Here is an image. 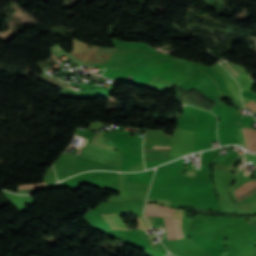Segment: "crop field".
<instances>
[{
  "mask_svg": "<svg viewBox=\"0 0 256 256\" xmlns=\"http://www.w3.org/2000/svg\"><path fill=\"white\" fill-rule=\"evenodd\" d=\"M111 229H125L128 230L123 221L118 217L117 214L101 215Z\"/></svg>",
  "mask_w": 256,
  "mask_h": 256,
  "instance_id": "f4fd0767",
  "label": "crop field"
},
{
  "mask_svg": "<svg viewBox=\"0 0 256 256\" xmlns=\"http://www.w3.org/2000/svg\"><path fill=\"white\" fill-rule=\"evenodd\" d=\"M146 210V207H145ZM145 215V211H144ZM146 216H160L182 219V210L160 207L154 204H147Z\"/></svg>",
  "mask_w": 256,
  "mask_h": 256,
  "instance_id": "8a807250",
  "label": "crop field"
},
{
  "mask_svg": "<svg viewBox=\"0 0 256 256\" xmlns=\"http://www.w3.org/2000/svg\"><path fill=\"white\" fill-rule=\"evenodd\" d=\"M245 106H247L248 108H250V109H252L253 111H255L256 112V104L254 103V102H249L247 105H245Z\"/></svg>",
  "mask_w": 256,
  "mask_h": 256,
  "instance_id": "3316defc",
  "label": "crop field"
},
{
  "mask_svg": "<svg viewBox=\"0 0 256 256\" xmlns=\"http://www.w3.org/2000/svg\"><path fill=\"white\" fill-rule=\"evenodd\" d=\"M139 229H150L149 225L147 224V222L144 220L143 217H139L137 218V227Z\"/></svg>",
  "mask_w": 256,
  "mask_h": 256,
  "instance_id": "d8731c3e",
  "label": "crop field"
},
{
  "mask_svg": "<svg viewBox=\"0 0 256 256\" xmlns=\"http://www.w3.org/2000/svg\"><path fill=\"white\" fill-rule=\"evenodd\" d=\"M245 141L246 150L256 152V131L247 128H241Z\"/></svg>",
  "mask_w": 256,
  "mask_h": 256,
  "instance_id": "412701ff",
  "label": "crop field"
},
{
  "mask_svg": "<svg viewBox=\"0 0 256 256\" xmlns=\"http://www.w3.org/2000/svg\"><path fill=\"white\" fill-rule=\"evenodd\" d=\"M170 147L153 146L152 150L169 151Z\"/></svg>",
  "mask_w": 256,
  "mask_h": 256,
  "instance_id": "5a996713",
  "label": "crop field"
},
{
  "mask_svg": "<svg viewBox=\"0 0 256 256\" xmlns=\"http://www.w3.org/2000/svg\"><path fill=\"white\" fill-rule=\"evenodd\" d=\"M168 239L182 238L181 220L164 219Z\"/></svg>",
  "mask_w": 256,
  "mask_h": 256,
  "instance_id": "ac0d7876",
  "label": "crop field"
},
{
  "mask_svg": "<svg viewBox=\"0 0 256 256\" xmlns=\"http://www.w3.org/2000/svg\"><path fill=\"white\" fill-rule=\"evenodd\" d=\"M227 64H228V66L231 68V69H233L234 71H235V73L237 74V75H239V73L242 71V69L244 68V67H240V66H237V65H234V64H232V63H229V62H227ZM224 67H226L228 70H229V72L236 78L237 76H236V74L227 66V65H223ZM225 68V69H226ZM226 69V70H227Z\"/></svg>",
  "mask_w": 256,
  "mask_h": 256,
  "instance_id": "e52e79f7",
  "label": "crop field"
},
{
  "mask_svg": "<svg viewBox=\"0 0 256 256\" xmlns=\"http://www.w3.org/2000/svg\"><path fill=\"white\" fill-rule=\"evenodd\" d=\"M237 203L256 193V181H249L233 191Z\"/></svg>",
  "mask_w": 256,
  "mask_h": 256,
  "instance_id": "34b2d1b8",
  "label": "crop field"
},
{
  "mask_svg": "<svg viewBox=\"0 0 256 256\" xmlns=\"http://www.w3.org/2000/svg\"><path fill=\"white\" fill-rule=\"evenodd\" d=\"M45 183L40 184H26V185H19L18 193L20 194H28L34 191L36 188L43 187Z\"/></svg>",
  "mask_w": 256,
  "mask_h": 256,
  "instance_id": "dd49c442",
  "label": "crop field"
}]
</instances>
